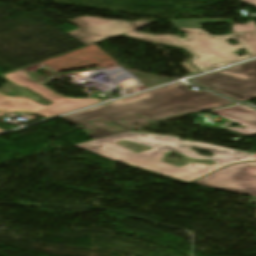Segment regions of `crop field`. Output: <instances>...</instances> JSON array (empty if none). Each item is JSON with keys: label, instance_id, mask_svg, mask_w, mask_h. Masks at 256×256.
Returning a JSON list of instances; mask_svg holds the SVG:
<instances>
[{"label": "crop field", "instance_id": "obj_3", "mask_svg": "<svg viewBox=\"0 0 256 256\" xmlns=\"http://www.w3.org/2000/svg\"><path fill=\"white\" fill-rule=\"evenodd\" d=\"M177 30L186 31V38L180 39L174 35L153 36L135 31L123 35L183 47L193 54L191 63L202 72L256 56V31L211 36L201 29ZM228 39H236L240 45L232 47L226 41ZM242 49H246L249 55L239 57L233 53Z\"/></svg>", "mask_w": 256, "mask_h": 256}, {"label": "crop field", "instance_id": "obj_1", "mask_svg": "<svg viewBox=\"0 0 256 256\" xmlns=\"http://www.w3.org/2000/svg\"><path fill=\"white\" fill-rule=\"evenodd\" d=\"M119 141L134 142L153 149L135 154L129 149L116 144ZM75 146L114 161L126 163L185 182H190L233 162L256 160L255 155L224 147L181 141L178 137L173 136L135 132H127ZM191 147L211 151L215 156L202 157L196 151L190 149ZM167 151H175L188 158L210 159L215 163L214 165L191 163L186 166L176 167L161 162Z\"/></svg>", "mask_w": 256, "mask_h": 256}, {"label": "crop field", "instance_id": "obj_8", "mask_svg": "<svg viewBox=\"0 0 256 256\" xmlns=\"http://www.w3.org/2000/svg\"><path fill=\"white\" fill-rule=\"evenodd\" d=\"M214 114L225 119L240 124L245 129L229 128L243 136L249 137L256 135V110L245 106H238L218 111H212Z\"/></svg>", "mask_w": 256, "mask_h": 256}, {"label": "crop field", "instance_id": "obj_5", "mask_svg": "<svg viewBox=\"0 0 256 256\" xmlns=\"http://www.w3.org/2000/svg\"><path fill=\"white\" fill-rule=\"evenodd\" d=\"M191 80L199 86L244 102L256 98V59Z\"/></svg>", "mask_w": 256, "mask_h": 256}, {"label": "crop field", "instance_id": "obj_7", "mask_svg": "<svg viewBox=\"0 0 256 256\" xmlns=\"http://www.w3.org/2000/svg\"><path fill=\"white\" fill-rule=\"evenodd\" d=\"M69 22L80 29L68 33L85 45L106 40L149 24L148 22L140 21H114L90 17H83Z\"/></svg>", "mask_w": 256, "mask_h": 256}, {"label": "crop field", "instance_id": "obj_10", "mask_svg": "<svg viewBox=\"0 0 256 256\" xmlns=\"http://www.w3.org/2000/svg\"><path fill=\"white\" fill-rule=\"evenodd\" d=\"M181 65H183L185 68H187L192 74L199 72L198 70H196L194 67H192L187 62L181 63Z\"/></svg>", "mask_w": 256, "mask_h": 256}, {"label": "crop field", "instance_id": "obj_9", "mask_svg": "<svg viewBox=\"0 0 256 256\" xmlns=\"http://www.w3.org/2000/svg\"><path fill=\"white\" fill-rule=\"evenodd\" d=\"M176 28H200L201 23H228L233 26L234 32H248L256 30L254 21H250L247 25H234L231 21L224 20H182V21H171Z\"/></svg>", "mask_w": 256, "mask_h": 256}, {"label": "crop field", "instance_id": "obj_11", "mask_svg": "<svg viewBox=\"0 0 256 256\" xmlns=\"http://www.w3.org/2000/svg\"><path fill=\"white\" fill-rule=\"evenodd\" d=\"M242 1L256 6V0H242Z\"/></svg>", "mask_w": 256, "mask_h": 256}, {"label": "crop field", "instance_id": "obj_6", "mask_svg": "<svg viewBox=\"0 0 256 256\" xmlns=\"http://www.w3.org/2000/svg\"><path fill=\"white\" fill-rule=\"evenodd\" d=\"M192 183L256 197V162L237 163Z\"/></svg>", "mask_w": 256, "mask_h": 256}, {"label": "crop field", "instance_id": "obj_4", "mask_svg": "<svg viewBox=\"0 0 256 256\" xmlns=\"http://www.w3.org/2000/svg\"><path fill=\"white\" fill-rule=\"evenodd\" d=\"M10 80L22 87L26 86L37 93L41 94L46 99L53 102L50 106L37 104L27 98H10L0 93V116L8 112H24L36 114L45 118L99 103L100 99H71L58 96L52 90L21 76L18 72H12L1 76Z\"/></svg>", "mask_w": 256, "mask_h": 256}, {"label": "crop field", "instance_id": "obj_12", "mask_svg": "<svg viewBox=\"0 0 256 256\" xmlns=\"http://www.w3.org/2000/svg\"><path fill=\"white\" fill-rule=\"evenodd\" d=\"M0 132H3L2 130H0Z\"/></svg>", "mask_w": 256, "mask_h": 256}, {"label": "crop field", "instance_id": "obj_2", "mask_svg": "<svg viewBox=\"0 0 256 256\" xmlns=\"http://www.w3.org/2000/svg\"><path fill=\"white\" fill-rule=\"evenodd\" d=\"M189 87L191 86L176 83L61 118L71 124H81L84 128L92 130L93 132L87 135L95 140L133 130L120 119L134 114L156 123L177 114H188L232 104L224 98L205 91L192 92L188 89ZM100 118L112 121L126 131L110 132L104 127L94 128L88 122Z\"/></svg>", "mask_w": 256, "mask_h": 256}]
</instances>
